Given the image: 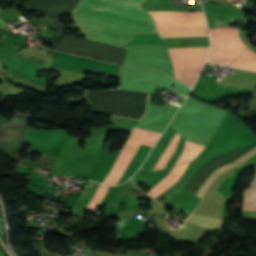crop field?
<instances>
[{"instance_id":"obj_1","label":"crop field","mask_w":256,"mask_h":256,"mask_svg":"<svg viewBox=\"0 0 256 256\" xmlns=\"http://www.w3.org/2000/svg\"><path fill=\"white\" fill-rule=\"evenodd\" d=\"M71 14L145 33H156L150 15L138 3L118 0H81ZM72 17L75 25L64 27L81 30L91 41L122 48L134 40L133 34H140L139 32Z\"/></svg>"},{"instance_id":"obj_2","label":"crop field","mask_w":256,"mask_h":256,"mask_svg":"<svg viewBox=\"0 0 256 256\" xmlns=\"http://www.w3.org/2000/svg\"><path fill=\"white\" fill-rule=\"evenodd\" d=\"M209 33L211 50L207 61L210 62L229 66L247 43L243 33L233 28L213 29ZM230 66L256 71V55L246 44Z\"/></svg>"},{"instance_id":"obj_3","label":"crop field","mask_w":256,"mask_h":256,"mask_svg":"<svg viewBox=\"0 0 256 256\" xmlns=\"http://www.w3.org/2000/svg\"><path fill=\"white\" fill-rule=\"evenodd\" d=\"M161 38L208 37L207 29L157 30ZM175 78L192 87L198 77L208 50L168 51Z\"/></svg>"},{"instance_id":"obj_4","label":"crop field","mask_w":256,"mask_h":256,"mask_svg":"<svg viewBox=\"0 0 256 256\" xmlns=\"http://www.w3.org/2000/svg\"><path fill=\"white\" fill-rule=\"evenodd\" d=\"M159 135L160 133L157 132H152L134 127L126 145L122 149L115 165L113 166L109 175L105 179L104 183L109 185H116L117 181L124 172L125 168L127 167L131 158L135 154L139 145L143 144L153 147Z\"/></svg>"},{"instance_id":"obj_5","label":"crop field","mask_w":256,"mask_h":256,"mask_svg":"<svg viewBox=\"0 0 256 256\" xmlns=\"http://www.w3.org/2000/svg\"><path fill=\"white\" fill-rule=\"evenodd\" d=\"M155 21L156 29L207 28L202 11L179 12L147 10Z\"/></svg>"},{"instance_id":"obj_6","label":"crop field","mask_w":256,"mask_h":256,"mask_svg":"<svg viewBox=\"0 0 256 256\" xmlns=\"http://www.w3.org/2000/svg\"><path fill=\"white\" fill-rule=\"evenodd\" d=\"M7 71L28 81L47 87L45 79H37L36 71L44 66L29 59L14 55L4 63Z\"/></svg>"},{"instance_id":"obj_7","label":"crop field","mask_w":256,"mask_h":256,"mask_svg":"<svg viewBox=\"0 0 256 256\" xmlns=\"http://www.w3.org/2000/svg\"><path fill=\"white\" fill-rule=\"evenodd\" d=\"M255 153H256V146L250 147L246 151H244L242 154L237 156L235 159L217 166L206 176V178L204 177L205 179L197 187L194 194L202 198V196L205 194L207 188L211 185V183L216 179V177L219 174H221L222 172H224L232 167L240 165L247 158L251 157Z\"/></svg>"},{"instance_id":"obj_8","label":"crop field","mask_w":256,"mask_h":256,"mask_svg":"<svg viewBox=\"0 0 256 256\" xmlns=\"http://www.w3.org/2000/svg\"><path fill=\"white\" fill-rule=\"evenodd\" d=\"M205 17L209 28L233 25V19L244 17L239 10H226L219 7L203 5Z\"/></svg>"},{"instance_id":"obj_9","label":"crop field","mask_w":256,"mask_h":256,"mask_svg":"<svg viewBox=\"0 0 256 256\" xmlns=\"http://www.w3.org/2000/svg\"><path fill=\"white\" fill-rule=\"evenodd\" d=\"M98 183L89 182V185H86L85 190L78 201L72 208V215L79 216L83 218L84 207L89 203L90 199L92 198Z\"/></svg>"},{"instance_id":"obj_10","label":"crop field","mask_w":256,"mask_h":256,"mask_svg":"<svg viewBox=\"0 0 256 256\" xmlns=\"http://www.w3.org/2000/svg\"><path fill=\"white\" fill-rule=\"evenodd\" d=\"M204 148V146L186 141L184 151L175 165L193 160Z\"/></svg>"},{"instance_id":"obj_11","label":"crop field","mask_w":256,"mask_h":256,"mask_svg":"<svg viewBox=\"0 0 256 256\" xmlns=\"http://www.w3.org/2000/svg\"><path fill=\"white\" fill-rule=\"evenodd\" d=\"M242 209L256 210V172L250 186L244 192Z\"/></svg>"},{"instance_id":"obj_12","label":"crop field","mask_w":256,"mask_h":256,"mask_svg":"<svg viewBox=\"0 0 256 256\" xmlns=\"http://www.w3.org/2000/svg\"><path fill=\"white\" fill-rule=\"evenodd\" d=\"M179 136H180V134H178L176 132V134L173 137L172 141L168 145L167 149L165 150V152L163 153V155L161 156V158L159 159V161L157 162V164L155 165L153 170L161 169V168L164 167V165L167 162L168 158L173 153V151L175 150V148H176V146L178 144Z\"/></svg>"},{"instance_id":"obj_13","label":"crop field","mask_w":256,"mask_h":256,"mask_svg":"<svg viewBox=\"0 0 256 256\" xmlns=\"http://www.w3.org/2000/svg\"><path fill=\"white\" fill-rule=\"evenodd\" d=\"M186 221L191 222V223H195V224H199L201 226L220 229V224L219 223H213V222L202 221V220L191 219V218H188Z\"/></svg>"},{"instance_id":"obj_14","label":"crop field","mask_w":256,"mask_h":256,"mask_svg":"<svg viewBox=\"0 0 256 256\" xmlns=\"http://www.w3.org/2000/svg\"><path fill=\"white\" fill-rule=\"evenodd\" d=\"M122 1H130V2H143L144 0H122Z\"/></svg>"},{"instance_id":"obj_15","label":"crop field","mask_w":256,"mask_h":256,"mask_svg":"<svg viewBox=\"0 0 256 256\" xmlns=\"http://www.w3.org/2000/svg\"><path fill=\"white\" fill-rule=\"evenodd\" d=\"M4 26H6V25L0 21V28H2Z\"/></svg>"}]
</instances>
